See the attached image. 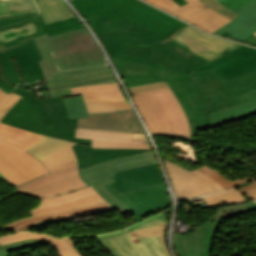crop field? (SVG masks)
<instances>
[{"mask_svg": "<svg viewBox=\"0 0 256 256\" xmlns=\"http://www.w3.org/2000/svg\"><path fill=\"white\" fill-rule=\"evenodd\" d=\"M108 54L186 73L209 62L170 40L187 24L179 21L164 36L122 20L84 15Z\"/></svg>", "mask_w": 256, "mask_h": 256, "instance_id": "8a807250", "label": "crop field"}, {"mask_svg": "<svg viewBox=\"0 0 256 256\" xmlns=\"http://www.w3.org/2000/svg\"><path fill=\"white\" fill-rule=\"evenodd\" d=\"M111 59L127 87L166 81L176 96L201 85L210 101L207 103L208 110L190 113L195 125V140L197 130L212 127L210 112L245 102L238 95L256 89V71L223 82L213 69L185 74L152 65L112 57ZM191 74H196V79L191 77Z\"/></svg>", "mask_w": 256, "mask_h": 256, "instance_id": "ac0d7876", "label": "crop field"}, {"mask_svg": "<svg viewBox=\"0 0 256 256\" xmlns=\"http://www.w3.org/2000/svg\"><path fill=\"white\" fill-rule=\"evenodd\" d=\"M78 20L47 29L40 14L31 13L0 19V89L10 93L22 82L10 57H15L26 82L45 79L37 60L42 59L34 37L82 28Z\"/></svg>", "mask_w": 256, "mask_h": 256, "instance_id": "34b2d1b8", "label": "crop field"}, {"mask_svg": "<svg viewBox=\"0 0 256 256\" xmlns=\"http://www.w3.org/2000/svg\"><path fill=\"white\" fill-rule=\"evenodd\" d=\"M13 92L23 97L0 122L91 147L92 140L74 138L78 118H68L61 96L36 99L33 91L19 87H16Z\"/></svg>", "mask_w": 256, "mask_h": 256, "instance_id": "412701ff", "label": "crop field"}, {"mask_svg": "<svg viewBox=\"0 0 256 256\" xmlns=\"http://www.w3.org/2000/svg\"><path fill=\"white\" fill-rule=\"evenodd\" d=\"M152 134H169L189 139L186 113L166 82L128 88Z\"/></svg>", "mask_w": 256, "mask_h": 256, "instance_id": "f4fd0767", "label": "crop field"}, {"mask_svg": "<svg viewBox=\"0 0 256 256\" xmlns=\"http://www.w3.org/2000/svg\"><path fill=\"white\" fill-rule=\"evenodd\" d=\"M84 14L122 19L164 35L178 20L138 0H71Z\"/></svg>", "mask_w": 256, "mask_h": 256, "instance_id": "dd49c442", "label": "crop field"}, {"mask_svg": "<svg viewBox=\"0 0 256 256\" xmlns=\"http://www.w3.org/2000/svg\"><path fill=\"white\" fill-rule=\"evenodd\" d=\"M44 37L59 70L106 63L101 49L85 28Z\"/></svg>", "mask_w": 256, "mask_h": 256, "instance_id": "e52e79f7", "label": "crop field"}, {"mask_svg": "<svg viewBox=\"0 0 256 256\" xmlns=\"http://www.w3.org/2000/svg\"><path fill=\"white\" fill-rule=\"evenodd\" d=\"M157 163L152 152L126 156L80 170L81 179L91 185L107 202L120 212L129 210L124 203L110 193L102 184L113 182L115 172Z\"/></svg>", "mask_w": 256, "mask_h": 256, "instance_id": "d8731c3e", "label": "crop field"}, {"mask_svg": "<svg viewBox=\"0 0 256 256\" xmlns=\"http://www.w3.org/2000/svg\"><path fill=\"white\" fill-rule=\"evenodd\" d=\"M83 186L86 184L79 177L76 160L17 188L18 191L35 197H46Z\"/></svg>", "mask_w": 256, "mask_h": 256, "instance_id": "5a996713", "label": "crop field"}, {"mask_svg": "<svg viewBox=\"0 0 256 256\" xmlns=\"http://www.w3.org/2000/svg\"><path fill=\"white\" fill-rule=\"evenodd\" d=\"M165 166L176 196L181 202L225 190L220 184L197 170L190 172L168 161Z\"/></svg>", "mask_w": 256, "mask_h": 256, "instance_id": "3316defc", "label": "crop field"}, {"mask_svg": "<svg viewBox=\"0 0 256 256\" xmlns=\"http://www.w3.org/2000/svg\"><path fill=\"white\" fill-rule=\"evenodd\" d=\"M49 85L48 91L53 96L70 95V87L116 82L112 71L108 65H101L96 67L83 68L78 70L60 71L52 78L47 79Z\"/></svg>", "mask_w": 256, "mask_h": 256, "instance_id": "28ad6ade", "label": "crop field"}, {"mask_svg": "<svg viewBox=\"0 0 256 256\" xmlns=\"http://www.w3.org/2000/svg\"><path fill=\"white\" fill-rule=\"evenodd\" d=\"M115 256H166L159 236L132 239L126 230L98 236Z\"/></svg>", "mask_w": 256, "mask_h": 256, "instance_id": "d1516ede", "label": "crop field"}, {"mask_svg": "<svg viewBox=\"0 0 256 256\" xmlns=\"http://www.w3.org/2000/svg\"><path fill=\"white\" fill-rule=\"evenodd\" d=\"M210 68H213L223 81L254 71L256 49L242 45L194 71Z\"/></svg>", "mask_w": 256, "mask_h": 256, "instance_id": "22f410ed", "label": "crop field"}, {"mask_svg": "<svg viewBox=\"0 0 256 256\" xmlns=\"http://www.w3.org/2000/svg\"><path fill=\"white\" fill-rule=\"evenodd\" d=\"M172 41L192 50L209 61L240 46L232 41L200 32L189 25Z\"/></svg>", "mask_w": 256, "mask_h": 256, "instance_id": "cbeb9de0", "label": "crop field"}, {"mask_svg": "<svg viewBox=\"0 0 256 256\" xmlns=\"http://www.w3.org/2000/svg\"><path fill=\"white\" fill-rule=\"evenodd\" d=\"M77 127L146 134L134 110L92 114L79 118Z\"/></svg>", "mask_w": 256, "mask_h": 256, "instance_id": "5142ce71", "label": "crop field"}, {"mask_svg": "<svg viewBox=\"0 0 256 256\" xmlns=\"http://www.w3.org/2000/svg\"><path fill=\"white\" fill-rule=\"evenodd\" d=\"M145 1L211 33L230 21L215 13L213 10L202 4L199 0H187L189 2L188 4L173 11H170L152 0Z\"/></svg>", "mask_w": 256, "mask_h": 256, "instance_id": "d9b57169", "label": "crop field"}, {"mask_svg": "<svg viewBox=\"0 0 256 256\" xmlns=\"http://www.w3.org/2000/svg\"><path fill=\"white\" fill-rule=\"evenodd\" d=\"M0 172L14 186L44 175L27 157L3 145H0Z\"/></svg>", "mask_w": 256, "mask_h": 256, "instance_id": "733c2abd", "label": "crop field"}, {"mask_svg": "<svg viewBox=\"0 0 256 256\" xmlns=\"http://www.w3.org/2000/svg\"><path fill=\"white\" fill-rule=\"evenodd\" d=\"M203 224L205 226H197V230L192 236L175 234V246L181 256H209L217 225L213 224L212 221Z\"/></svg>", "mask_w": 256, "mask_h": 256, "instance_id": "4a817a6b", "label": "crop field"}, {"mask_svg": "<svg viewBox=\"0 0 256 256\" xmlns=\"http://www.w3.org/2000/svg\"><path fill=\"white\" fill-rule=\"evenodd\" d=\"M138 208L142 217L163 210L169 205L165 183L122 193Z\"/></svg>", "mask_w": 256, "mask_h": 256, "instance_id": "bc2a9ffb", "label": "crop field"}, {"mask_svg": "<svg viewBox=\"0 0 256 256\" xmlns=\"http://www.w3.org/2000/svg\"><path fill=\"white\" fill-rule=\"evenodd\" d=\"M161 172L157 164L137 169L118 172L111 183L120 192L163 183Z\"/></svg>", "mask_w": 256, "mask_h": 256, "instance_id": "214f88e0", "label": "crop field"}, {"mask_svg": "<svg viewBox=\"0 0 256 256\" xmlns=\"http://www.w3.org/2000/svg\"><path fill=\"white\" fill-rule=\"evenodd\" d=\"M113 210H115V208H113L110 204H108L105 200H103V201H99V202H95L87 205H82L78 207L56 211V212L45 214V215L20 219L14 223H11L1 228L10 229V230H23L41 221H46V220L60 218V217L69 216V215H72L74 219V217H78V216L108 212Z\"/></svg>", "mask_w": 256, "mask_h": 256, "instance_id": "92a150f3", "label": "crop field"}, {"mask_svg": "<svg viewBox=\"0 0 256 256\" xmlns=\"http://www.w3.org/2000/svg\"><path fill=\"white\" fill-rule=\"evenodd\" d=\"M218 2L221 0H217ZM237 13L240 15L216 30L214 33L242 42L256 32V0L248 4Z\"/></svg>", "mask_w": 256, "mask_h": 256, "instance_id": "dafd665d", "label": "crop field"}, {"mask_svg": "<svg viewBox=\"0 0 256 256\" xmlns=\"http://www.w3.org/2000/svg\"><path fill=\"white\" fill-rule=\"evenodd\" d=\"M43 136L14 128L0 123V144L8 146L30 158L44 174L47 169L25 150L40 140Z\"/></svg>", "mask_w": 256, "mask_h": 256, "instance_id": "00972430", "label": "crop field"}, {"mask_svg": "<svg viewBox=\"0 0 256 256\" xmlns=\"http://www.w3.org/2000/svg\"><path fill=\"white\" fill-rule=\"evenodd\" d=\"M78 159V169H83L114 158L149 151L151 149H91L87 145L72 146Z\"/></svg>", "mask_w": 256, "mask_h": 256, "instance_id": "a9b5d70f", "label": "crop field"}, {"mask_svg": "<svg viewBox=\"0 0 256 256\" xmlns=\"http://www.w3.org/2000/svg\"><path fill=\"white\" fill-rule=\"evenodd\" d=\"M248 102L210 114L213 127L243 120L256 115V90L240 95Z\"/></svg>", "mask_w": 256, "mask_h": 256, "instance_id": "4177f3b9", "label": "crop field"}, {"mask_svg": "<svg viewBox=\"0 0 256 256\" xmlns=\"http://www.w3.org/2000/svg\"><path fill=\"white\" fill-rule=\"evenodd\" d=\"M47 28L76 20L62 0H35Z\"/></svg>", "mask_w": 256, "mask_h": 256, "instance_id": "730fd06b", "label": "crop field"}, {"mask_svg": "<svg viewBox=\"0 0 256 256\" xmlns=\"http://www.w3.org/2000/svg\"><path fill=\"white\" fill-rule=\"evenodd\" d=\"M72 93H82L85 102L124 100L118 83H105L71 88Z\"/></svg>", "mask_w": 256, "mask_h": 256, "instance_id": "eef30255", "label": "crop field"}, {"mask_svg": "<svg viewBox=\"0 0 256 256\" xmlns=\"http://www.w3.org/2000/svg\"><path fill=\"white\" fill-rule=\"evenodd\" d=\"M75 137L106 141L135 142L148 144L146 135L89 130L81 128H77Z\"/></svg>", "mask_w": 256, "mask_h": 256, "instance_id": "ae1a2a85", "label": "crop field"}, {"mask_svg": "<svg viewBox=\"0 0 256 256\" xmlns=\"http://www.w3.org/2000/svg\"><path fill=\"white\" fill-rule=\"evenodd\" d=\"M178 100L181 102L183 105L187 116L190 121L191 129H192V134L190 140L194 141V126L192 119L190 117L189 112H195V111H201L207 109L206 102L209 101L208 97L204 93L203 89L201 86L190 90L186 93H183L179 96H177Z\"/></svg>", "mask_w": 256, "mask_h": 256, "instance_id": "d3111659", "label": "crop field"}, {"mask_svg": "<svg viewBox=\"0 0 256 256\" xmlns=\"http://www.w3.org/2000/svg\"><path fill=\"white\" fill-rule=\"evenodd\" d=\"M202 173L206 174L207 176L211 177L215 181L219 182L223 187L226 189L236 187V185L247 182L249 180L255 179L256 176L254 177H248L240 180H235L232 181L223 175H221L219 172L216 170L212 169L211 167L207 165H203L201 168L198 169ZM241 191L247 195V197L252 198L253 200L256 201V183L249 184L243 187H240Z\"/></svg>", "mask_w": 256, "mask_h": 256, "instance_id": "750c4746", "label": "crop field"}, {"mask_svg": "<svg viewBox=\"0 0 256 256\" xmlns=\"http://www.w3.org/2000/svg\"><path fill=\"white\" fill-rule=\"evenodd\" d=\"M69 143L70 141L44 136L39 142L26 151L31 153L37 159L43 160L58 150L64 148Z\"/></svg>", "mask_w": 256, "mask_h": 256, "instance_id": "bd1437ed", "label": "crop field"}, {"mask_svg": "<svg viewBox=\"0 0 256 256\" xmlns=\"http://www.w3.org/2000/svg\"><path fill=\"white\" fill-rule=\"evenodd\" d=\"M38 12L33 0H0V18Z\"/></svg>", "mask_w": 256, "mask_h": 256, "instance_id": "1d83c4d3", "label": "crop field"}, {"mask_svg": "<svg viewBox=\"0 0 256 256\" xmlns=\"http://www.w3.org/2000/svg\"><path fill=\"white\" fill-rule=\"evenodd\" d=\"M36 45L42 55L43 60L38 61L40 64V67L45 74L46 78L51 77L55 71H57V67L55 65V62L53 60V57L50 53V50L43 38V36H39L34 38Z\"/></svg>", "mask_w": 256, "mask_h": 256, "instance_id": "120bbe31", "label": "crop field"}, {"mask_svg": "<svg viewBox=\"0 0 256 256\" xmlns=\"http://www.w3.org/2000/svg\"><path fill=\"white\" fill-rule=\"evenodd\" d=\"M102 199L103 198L97 192H95L90 195L84 196L82 198L75 199V200L65 202L62 204L49 206V207H43V208H35L30 211V214H31V216L45 214V213H49L52 211L69 208V207H73V206H78V205H82V204H86V203H90V202H94V201H98V200H102Z\"/></svg>", "mask_w": 256, "mask_h": 256, "instance_id": "d32e631a", "label": "crop field"}, {"mask_svg": "<svg viewBox=\"0 0 256 256\" xmlns=\"http://www.w3.org/2000/svg\"><path fill=\"white\" fill-rule=\"evenodd\" d=\"M256 210V202L249 201L245 203H240V204H235V205H226V206H221L218 209V213L214 219V223L220 224L222 221L225 219L237 215L240 213L248 212Z\"/></svg>", "mask_w": 256, "mask_h": 256, "instance_id": "5866460e", "label": "crop field"}, {"mask_svg": "<svg viewBox=\"0 0 256 256\" xmlns=\"http://www.w3.org/2000/svg\"><path fill=\"white\" fill-rule=\"evenodd\" d=\"M75 143L72 142L64 149L60 150L59 152L53 154L52 156L48 157L47 159L41 161L50 171L59 168L71 161L76 160V157L73 153L71 148L72 145Z\"/></svg>", "mask_w": 256, "mask_h": 256, "instance_id": "028f5c9d", "label": "crop field"}, {"mask_svg": "<svg viewBox=\"0 0 256 256\" xmlns=\"http://www.w3.org/2000/svg\"><path fill=\"white\" fill-rule=\"evenodd\" d=\"M208 207L227 201L231 204L249 201L238 189H233L204 197Z\"/></svg>", "mask_w": 256, "mask_h": 256, "instance_id": "e1f06a70", "label": "crop field"}, {"mask_svg": "<svg viewBox=\"0 0 256 256\" xmlns=\"http://www.w3.org/2000/svg\"><path fill=\"white\" fill-rule=\"evenodd\" d=\"M35 235H40L51 242L60 252L61 256H81L76 248L72 245L68 238H55L39 233L28 232Z\"/></svg>", "mask_w": 256, "mask_h": 256, "instance_id": "0bd39190", "label": "crop field"}, {"mask_svg": "<svg viewBox=\"0 0 256 256\" xmlns=\"http://www.w3.org/2000/svg\"><path fill=\"white\" fill-rule=\"evenodd\" d=\"M92 192H95V190L90 186V187L75 190V191H72V192H69L67 194L57 196V197L41 199L42 201L40 203V206H38V207L49 206V205L62 203V202H65V201H69V200H72V199H75V198L82 197V196L90 194Z\"/></svg>", "mask_w": 256, "mask_h": 256, "instance_id": "b80d0937", "label": "crop field"}, {"mask_svg": "<svg viewBox=\"0 0 256 256\" xmlns=\"http://www.w3.org/2000/svg\"><path fill=\"white\" fill-rule=\"evenodd\" d=\"M86 105L89 113L107 112L132 108L130 103L126 101L86 103Z\"/></svg>", "mask_w": 256, "mask_h": 256, "instance_id": "c035e120", "label": "crop field"}, {"mask_svg": "<svg viewBox=\"0 0 256 256\" xmlns=\"http://www.w3.org/2000/svg\"><path fill=\"white\" fill-rule=\"evenodd\" d=\"M70 118L87 117L86 105L81 96L63 99Z\"/></svg>", "mask_w": 256, "mask_h": 256, "instance_id": "c21b1889", "label": "crop field"}, {"mask_svg": "<svg viewBox=\"0 0 256 256\" xmlns=\"http://www.w3.org/2000/svg\"><path fill=\"white\" fill-rule=\"evenodd\" d=\"M166 231V223L131 231L130 234L133 236V238H138V237H147V236H155V235H160L163 248L167 254V256H170L168 253V250L165 245V240H164V234Z\"/></svg>", "mask_w": 256, "mask_h": 256, "instance_id": "03da06ac", "label": "crop field"}, {"mask_svg": "<svg viewBox=\"0 0 256 256\" xmlns=\"http://www.w3.org/2000/svg\"><path fill=\"white\" fill-rule=\"evenodd\" d=\"M44 244L37 239L26 240L22 242H17L13 244H8L0 247V256H10L7 252L20 250L28 247H33L37 245Z\"/></svg>", "mask_w": 256, "mask_h": 256, "instance_id": "b54c1fbb", "label": "crop field"}, {"mask_svg": "<svg viewBox=\"0 0 256 256\" xmlns=\"http://www.w3.org/2000/svg\"><path fill=\"white\" fill-rule=\"evenodd\" d=\"M20 98L21 96L12 92L9 95L3 91L0 93V119L17 103Z\"/></svg>", "mask_w": 256, "mask_h": 256, "instance_id": "5d738f31", "label": "crop field"}, {"mask_svg": "<svg viewBox=\"0 0 256 256\" xmlns=\"http://www.w3.org/2000/svg\"><path fill=\"white\" fill-rule=\"evenodd\" d=\"M31 238H37L42 242H44L45 244L49 243L47 240L41 238L40 236H34L28 233L16 232V233L0 236V245L22 241L26 239H31Z\"/></svg>", "mask_w": 256, "mask_h": 256, "instance_id": "d23c7cc5", "label": "crop field"}, {"mask_svg": "<svg viewBox=\"0 0 256 256\" xmlns=\"http://www.w3.org/2000/svg\"><path fill=\"white\" fill-rule=\"evenodd\" d=\"M92 148H150L149 145L93 140Z\"/></svg>", "mask_w": 256, "mask_h": 256, "instance_id": "425ffa30", "label": "crop field"}, {"mask_svg": "<svg viewBox=\"0 0 256 256\" xmlns=\"http://www.w3.org/2000/svg\"><path fill=\"white\" fill-rule=\"evenodd\" d=\"M203 2L205 5L216 11L217 13L229 18V19H234L235 17L238 16V14L220 6L215 0H200Z\"/></svg>", "mask_w": 256, "mask_h": 256, "instance_id": "25e5ab78", "label": "crop field"}, {"mask_svg": "<svg viewBox=\"0 0 256 256\" xmlns=\"http://www.w3.org/2000/svg\"><path fill=\"white\" fill-rule=\"evenodd\" d=\"M105 186L108 188V190L110 192H112L115 196H117L121 201H123L128 207H130L132 209V211L135 214L137 222L142 221L137 207L131 201H129L127 198H125L122 194H120V192H118L116 189H114L109 184H105Z\"/></svg>", "mask_w": 256, "mask_h": 256, "instance_id": "73cf0c24", "label": "crop field"}, {"mask_svg": "<svg viewBox=\"0 0 256 256\" xmlns=\"http://www.w3.org/2000/svg\"><path fill=\"white\" fill-rule=\"evenodd\" d=\"M167 219V216L165 213H162V214H159V215H156L154 217H151L133 227H130V228H127L128 231L130 230H134V229H138V228H142V227H146V226H150V225H154V224H158V223H162V222H165Z\"/></svg>", "mask_w": 256, "mask_h": 256, "instance_id": "89e229c0", "label": "crop field"}, {"mask_svg": "<svg viewBox=\"0 0 256 256\" xmlns=\"http://www.w3.org/2000/svg\"><path fill=\"white\" fill-rule=\"evenodd\" d=\"M253 0H224L220 2L226 8L236 12Z\"/></svg>", "mask_w": 256, "mask_h": 256, "instance_id": "1f2cbd36", "label": "crop field"}, {"mask_svg": "<svg viewBox=\"0 0 256 256\" xmlns=\"http://www.w3.org/2000/svg\"><path fill=\"white\" fill-rule=\"evenodd\" d=\"M154 1H156V2H158V3H160V4H162L163 6L169 8V9H171V10H173V9H175V8H177V7H179V5H177V4H176L174 1H172V0H154Z\"/></svg>", "mask_w": 256, "mask_h": 256, "instance_id": "dbb93151", "label": "crop field"}, {"mask_svg": "<svg viewBox=\"0 0 256 256\" xmlns=\"http://www.w3.org/2000/svg\"><path fill=\"white\" fill-rule=\"evenodd\" d=\"M72 217L69 216V217H64V218H60V219H55V220H50V221H46V222H41V223H38L32 227H36V226H41V225H46V224H50V223H55V222H60V221H65V220H71ZM30 227V228H32ZM30 228L24 230V231H30Z\"/></svg>", "mask_w": 256, "mask_h": 256, "instance_id": "0fb4a251", "label": "crop field"}, {"mask_svg": "<svg viewBox=\"0 0 256 256\" xmlns=\"http://www.w3.org/2000/svg\"><path fill=\"white\" fill-rule=\"evenodd\" d=\"M243 43H247L253 46H256V36L253 34L250 37H248L246 40L243 41Z\"/></svg>", "mask_w": 256, "mask_h": 256, "instance_id": "1d79db26", "label": "crop field"}, {"mask_svg": "<svg viewBox=\"0 0 256 256\" xmlns=\"http://www.w3.org/2000/svg\"><path fill=\"white\" fill-rule=\"evenodd\" d=\"M32 85H41V84H40V81H38L36 83H31V84H23V83L18 84V86L23 87V88H27V89H30V90H33Z\"/></svg>", "mask_w": 256, "mask_h": 256, "instance_id": "9d1cf04e", "label": "crop field"}, {"mask_svg": "<svg viewBox=\"0 0 256 256\" xmlns=\"http://www.w3.org/2000/svg\"><path fill=\"white\" fill-rule=\"evenodd\" d=\"M177 4H179L180 6L188 3L186 0H174Z\"/></svg>", "mask_w": 256, "mask_h": 256, "instance_id": "447ae74e", "label": "crop field"}, {"mask_svg": "<svg viewBox=\"0 0 256 256\" xmlns=\"http://www.w3.org/2000/svg\"><path fill=\"white\" fill-rule=\"evenodd\" d=\"M0 177H2L4 180H6L8 183H10L1 173H0Z\"/></svg>", "mask_w": 256, "mask_h": 256, "instance_id": "0765c3eb", "label": "crop field"}, {"mask_svg": "<svg viewBox=\"0 0 256 256\" xmlns=\"http://www.w3.org/2000/svg\"><path fill=\"white\" fill-rule=\"evenodd\" d=\"M2 90H0V92H1Z\"/></svg>", "mask_w": 256, "mask_h": 256, "instance_id": "db79e9e6", "label": "crop field"}, {"mask_svg": "<svg viewBox=\"0 0 256 256\" xmlns=\"http://www.w3.org/2000/svg\"><path fill=\"white\" fill-rule=\"evenodd\" d=\"M254 34H256V33H254Z\"/></svg>", "mask_w": 256, "mask_h": 256, "instance_id": "7b73153f", "label": "crop field"}]
</instances>
